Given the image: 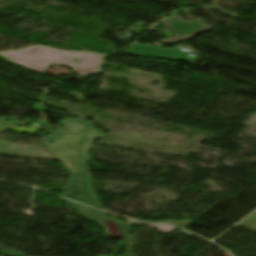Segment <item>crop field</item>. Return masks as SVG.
<instances>
[{"label":"crop field","instance_id":"crop-field-1","mask_svg":"<svg viewBox=\"0 0 256 256\" xmlns=\"http://www.w3.org/2000/svg\"><path fill=\"white\" fill-rule=\"evenodd\" d=\"M49 50L50 47L33 46L21 51L0 52V55L7 57L9 61L33 69L40 73H42L45 68L51 65L61 64L70 65L79 75L89 73L88 71L90 67H92L90 72L97 70L104 56L91 52H70L54 48H51L50 51ZM75 57L81 59L80 65H77L72 60V58ZM11 58L16 60H11ZM56 60L58 61L55 63ZM82 70L84 71L82 72Z\"/></svg>","mask_w":256,"mask_h":256},{"label":"crop field","instance_id":"crop-field-2","mask_svg":"<svg viewBox=\"0 0 256 256\" xmlns=\"http://www.w3.org/2000/svg\"><path fill=\"white\" fill-rule=\"evenodd\" d=\"M86 119L63 120L61 124L68 127L69 132L54 131L47 140L53 144H44L45 148L52 152V156L59 159L66 170L71 173L80 172V164L77 146L83 135Z\"/></svg>","mask_w":256,"mask_h":256},{"label":"crop field","instance_id":"crop-field-3","mask_svg":"<svg viewBox=\"0 0 256 256\" xmlns=\"http://www.w3.org/2000/svg\"><path fill=\"white\" fill-rule=\"evenodd\" d=\"M162 24L177 36L175 38L163 40L170 44L190 40L197 34L211 30L197 19L185 22L176 16L162 22Z\"/></svg>","mask_w":256,"mask_h":256},{"label":"crop field","instance_id":"crop-field-4","mask_svg":"<svg viewBox=\"0 0 256 256\" xmlns=\"http://www.w3.org/2000/svg\"><path fill=\"white\" fill-rule=\"evenodd\" d=\"M63 188L65 189L63 196L94 206L86 199L81 174L72 175Z\"/></svg>","mask_w":256,"mask_h":256},{"label":"crop field","instance_id":"crop-field-5","mask_svg":"<svg viewBox=\"0 0 256 256\" xmlns=\"http://www.w3.org/2000/svg\"><path fill=\"white\" fill-rule=\"evenodd\" d=\"M105 135L106 133L94 128L92 125H87L84 141L80 146L83 172H86V162L89 161L88 153L93 139L103 138Z\"/></svg>","mask_w":256,"mask_h":256},{"label":"crop field","instance_id":"crop-field-6","mask_svg":"<svg viewBox=\"0 0 256 256\" xmlns=\"http://www.w3.org/2000/svg\"><path fill=\"white\" fill-rule=\"evenodd\" d=\"M127 239V244H128V249L134 251V249L136 248V243L133 240V238L129 235L133 222H121V221H117ZM136 224H142V225H148V226H153V227H157L159 229L160 232H164V233H168L170 234L171 232H173L176 228L171 227V226H167V225H158V224H145V223H136Z\"/></svg>","mask_w":256,"mask_h":256},{"label":"crop field","instance_id":"crop-field-7","mask_svg":"<svg viewBox=\"0 0 256 256\" xmlns=\"http://www.w3.org/2000/svg\"><path fill=\"white\" fill-rule=\"evenodd\" d=\"M135 47L141 48V49H145V50H149V51L156 52V53H160V54H163V55L175 57V58H177V60H180V59L183 57V55H181V54H179V53H176V52H172V51L165 50V49H159V48H156V47L138 45V44H135V46H134L133 48H131V49H130L128 52H126V53H127V54H135V55L150 56V55H147V54H143V53L134 51V50H138V51H142V52H145V53L157 55V56H159V58L171 59V58H168V57H165V56H161V55L154 54V53H151V52H147V51H144V50H141V49H137V48H135ZM132 49H134V50H132ZM151 57H153V56H151Z\"/></svg>","mask_w":256,"mask_h":256},{"label":"crop field","instance_id":"crop-field-8","mask_svg":"<svg viewBox=\"0 0 256 256\" xmlns=\"http://www.w3.org/2000/svg\"><path fill=\"white\" fill-rule=\"evenodd\" d=\"M61 200H63L64 202H66L68 205H72L78 212H80L81 214H83L84 216H86L87 218L91 219V220H97V219H106L108 217H106L103 214H100L94 210H91L90 208L74 203L72 201L66 200L61 198Z\"/></svg>","mask_w":256,"mask_h":256},{"label":"crop field","instance_id":"crop-field-9","mask_svg":"<svg viewBox=\"0 0 256 256\" xmlns=\"http://www.w3.org/2000/svg\"><path fill=\"white\" fill-rule=\"evenodd\" d=\"M96 225L103 228L108 237L118 238L121 237L116 223L111 219L93 221Z\"/></svg>","mask_w":256,"mask_h":256},{"label":"crop field","instance_id":"crop-field-10","mask_svg":"<svg viewBox=\"0 0 256 256\" xmlns=\"http://www.w3.org/2000/svg\"><path fill=\"white\" fill-rule=\"evenodd\" d=\"M83 174L86 182L87 191L91 200L97 205L98 208L103 209L102 206L98 203L97 199L95 198L92 192V180H91L90 174L89 173H83Z\"/></svg>","mask_w":256,"mask_h":256},{"label":"crop field","instance_id":"crop-field-11","mask_svg":"<svg viewBox=\"0 0 256 256\" xmlns=\"http://www.w3.org/2000/svg\"><path fill=\"white\" fill-rule=\"evenodd\" d=\"M4 128H14L18 133H23V132H27V133H31L33 134L36 130H38V128L35 127H30L28 130L25 128H20L18 125L16 124H12V123H7V122H3V126L1 128L0 131H3Z\"/></svg>","mask_w":256,"mask_h":256},{"label":"crop field","instance_id":"crop-field-12","mask_svg":"<svg viewBox=\"0 0 256 256\" xmlns=\"http://www.w3.org/2000/svg\"><path fill=\"white\" fill-rule=\"evenodd\" d=\"M0 252H3L5 254L11 255V256H24L22 255L20 252L13 250L11 248L5 247V246H1L0 245Z\"/></svg>","mask_w":256,"mask_h":256},{"label":"crop field","instance_id":"crop-field-13","mask_svg":"<svg viewBox=\"0 0 256 256\" xmlns=\"http://www.w3.org/2000/svg\"><path fill=\"white\" fill-rule=\"evenodd\" d=\"M132 251L127 250V254L125 256H132Z\"/></svg>","mask_w":256,"mask_h":256},{"label":"crop field","instance_id":"crop-field-14","mask_svg":"<svg viewBox=\"0 0 256 256\" xmlns=\"http://www.w3.org/2000/svg\"><path fill=\"white\" fill-rule=\"evenodd\" d=\"M1 123V122H0Z\"/></svg>","mask_w":256,"mask_h":256}]
</instances>
